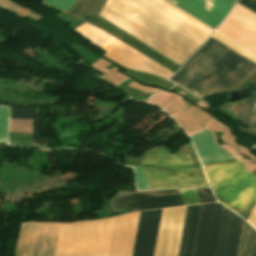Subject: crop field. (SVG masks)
Segmentation results:
<instances>
[{"instance_id": "3316defc", "label": "crop field", "mask_w": 256, "mask_h": 256, "mask_svg": "<svg viewBox=\"0 0 256 256\" xmlns=\"http://www.w3.org/2000/svg\"><path fill=\"white\" fill-rule=\"evenodd\" d=\"M139 214L115 218L108 256H132Z\"/></svg>"}, {"instance_id": "28ad6ade", "label": "crop field", "mask_w": 256, "mask_h": 256, "mask_svg": "<svg viewBox=\"0 0 256 256\" xmlns=\"http://www.w3.org/2000/svg\"><path fill=\"white\" fill-rule=\"evenodd\" d=\"M162 209L140 214L133 256H153Z\"/></svg>"}, {"instance_id": "5142ce71", "label": "crop field", "mask_w": 256, "mask_h": 256, "mask_svg": "<svg viewBox=\"0 0 256 256\" xmlns=\"http://www.w3.org/2000/svg\"><path fill=\"white\" fill-rule=\"evenodd\" d=\"M190 139L202 164L234 159L213 142V135L208 129L191 136Z\"/></svg>"}, {"instance_id": "a9b5d70f", "label": "crop field", "mask_w": 256, "mask_h": 256, "mask_svg": "<svg viewBox=\"0 0 256 256\" xmlns=\"http://www.w3.org/2000/svg\"><path fill=\"white\" fill-rule=\"evenodd\" d=\"M179 191L181 193V196L185 205L200 203L195 189H187V190H179Z\"/></svg>"}, {"instance_id": "bc2a9ffb", "label": "crop field", "mask_w": 256, "mask_h": 256, "mask_svg": "<svg viewBox=\"0 0 256 256\" xmlns=\"http://www.w3.org/2000/svg\"><path fill=\"white\" fill-rule=\"evenodd\" d=\"M238 256H256V231L243 223Z\"/></svg>"}, {"instance_id": "d1516ede", "label": "crop field", "mask_w": 256, "mask_h": 256, "mask_svg": "<svg viewBox=\"0 0 256 256\" xmlns=\"http://www.w3.org/2000/svg\"><path fill=\"white\" fill-rule=\"evenodd\" d=\"M243 220L224 209L216 256H237Z\"/></svg>"}, {"instance_id": "00972430", "label": "crop field", "mask_w": 256, "mask_h": 256, "mask_svg": "<svg viewBox=\"0 0 256 256\" xmlns=\"http://www.w3.org/2000/svg\"><path fill=\"white\" fill-rule=\"evenodd\" d=\"M76 0H44L43 4L53 6L61 11L68 13Z\"/></svg>"}, {"instance_id": "ac0d7876", "label": "crop field", "mask_w": 256, "mask_h": 256, "mask_svg": "<svg viewBox=\"0 0 256 256\" xmlns=\"http://www.w3.org/2000/svg\"><path fill=\"white\" fill-rule=\"evenodd\" d=\"M249 61L229 48L189 91L199 98L210 95ZM255 69L250 61L214 93L239 88Z\"/></svg>"}, {"instance_id": "22f410ed", "label": "crop field", "mask_w": 256, "mask_h": 256, "mask_svg": "<svg viewBox=\"0 0 256 256\" xmlns=\"http://www.w3.org/2000/svg\"><path fill=\"white\" fill-rule=\"evenodd\" d=\"M203 204L187 206L178 256H193Z\"/></svg>"}, {"instance_id": "214f88e0", "label": "crop field", "mask_w": 256, "mask_h": 256, "mask_svg": "<svg viewBox=\"0 0 256 256\" xmlns=\"http://www.w3.org/2000/svg\"><path fill=\"white\" fill-rule=\"evenodd\" d=\"M237 120L256 129V90L248 98Z\"/></svg>"}, {"instance_id": "730fd06b", "label": "crop field", "mask_w": 256, "mask_h": 256, "mask_svg": "<svg viewBox=\"0 0 256 256\" xmlns=\"http://www.w3.org/2000/svg\"><path fill=\"white\" fill-rule=\"evenodd\" d=\"M196 190L201 203L215 201L210 189H196Z\"/></svg>"}, {"instance_id": "f4fd0767", "label": "crop field", "mask_w": 256, "mask_h": 256, "mask_svg": "<svg viewBox=\"0 0 256 256\" xmlns=\"http://www.w3.org/2000/svg\"><path fill=\"white\" fill-rule=\"evenodd\" d=\"M142 168L151 189L208 187L201 166L186 169Z\"/></svg>"}, {"instance_id": "eef30255", "label": "crop field", "mask_w": 256, "mask_h": 256, "mask_svg": "<svg viewBox=\"0 0 256 256\" xmlns=\"http://www.w3.org/2000/svg\"><path fill=\"white\" fill-rule=\"evenodd\" d=\"M247 221L256 229V204Z\"/></svg>"}, {"instance_id": "d9b57169", "label": "crop field", "mask_w": 256, "mask_h": 256, "mask_svg": "<svg viewBox=\"0 0 256 256\" xmlns=\"http://www.w3.org/2000/svg\"><path fill=\"white\" fill-rule=\"evenodd\" d=\"M141 165L173 166V167L192 166L189 155H157V154H146Z\"/></svg>"}, {"instance_id": "dafd665d", "label": "crop field", "mask_w": 256, "mask_h": 256, "mask_svg": "<svg viewBox=\"0 0 256 256\" xmlns=\"http://www.w3.org/2000/svg\"><path fill=\"white\" fill-rule=\"evenodd\" d=\"M9 110L0 108V143L7 144V126Z\"/></svg>"}, {"instance_id": "e52e79f7", "label": "crop field", "mask_w": 256, "mask_h": 256, "mask_svg": "<svg viewBox=\"0 0 256 256\" xmlns=\"http://www.w3.org/2000/svg\"><path fill=\"white\" fill-rule=\"evenodd\" d=\"M102 49L107 51L104 56L126 68L151 73L167 79L173 74L113 37Z\"/></svg>"}, {"instance_id": "34b2d1b8", "label": "crop field", "mask_w": 256, "mask_h": 256, "mask_svg": "<svg viewBox=\"0 0 256 256\" xmlns=\"http://www.w3.org/2000/svg\"><path fill=\"white\" fill-rule=\"evenodd\" d=\"M60 223L22 224L16 256H54Z\"/></svg>"}, {"instance_id": "4a817a6b", "label": "crop field", "mask_w": 256, "mask_h": 256, "mask_svg": "<svg viewBox=\"0 0 256 256\" xmlns=\"http://www.w3.org/2000/svg\"><path fill=\"white\" fill-rule=\"evenodd\" d=\"M107 0H77L69 14L91 23Z\"/></svg>"}, {"instance_id": "cbeb9de0", "label": "crop field", "mask_w": 256, "mask_h": 256, "mask_svg": "<svg viewBox=\"0 0 256 256\" xmlns=\"http://www.w3.org/2000/svg\"><path fill=\"white\" fill-rule=\"evenodd\" d=\"M140 210L184 205L178 190L133 192Z\"/></svg>"}, {"instance_id": "ae1a2a85", "label": "crop field", "mask_w": 256, "mask_h": 256, "mask_svg": "<svg viewBox=\"0 0 256 256\" xmlns=\"http://www.w3.org/2000/svg\"><path fill=\"white\" fill-rule=\"evenodd\" d=\"M239 2L256 11V0H240Z\"/></svg>"}, {"instance_id": "412701ff", "label": "crop field", "mask_w": 256, "mask_h": 256, "mask_svg": "<svg viewBox=\"0 0 256 256\" xmlns=\"http://www.w3.org/2000/svg\"><path fill=\"white\" fill-rule=\"evenodd\" d=\"M228 48L210 37L170 80L189 90Z\"/></svg>"}, {"instance_id": "4177f3b9", "label": "crop field", "mask_w": 256, "mask_h": 256, "mask_svg": "<svg viewBox=\"0 0 256 256\" xmlns=\"http://www.w3.org/2000/svg\"><path fill=\"white\" fill-rule=\"evenodd\" d=\"M135 176L138 190L150 189L141 167L135 166Z\"/></svg>"}, {"instance_id": "92a150f3", "label": "crop field", "mask_w": 256, "mask_h": 256, "mask_svg": "<svg viewBox=\"0 0 256 256\" xmlns=\"http://www.w3.org/2000/svg\"><path fill=\"white\" fill-rule=\"evenodd\" d=\"M110 204L114 212L126 209L138 210L132 193H120L116 198H112Z\"/></svg>"}, {"instance_id": "5a996713", "label": "crop field", "mask_w": 256, "mask_h": 256, "mask_svg": "<svg viewBox=\"0 0 256 256\" xmlns=\"http://www.w3.org/2000/svg\"><path fill=\"white\" fill-rule=\"evenodd\" d=\"M217 29L237 0H168Z\"/></svg>"}, {"instance_id": "733c2abd", "label": "crop field", "mask_w": 256, "mask_h": 256, "mask_svg": "<svg viewBox=\"0 0 256 256\" xmlns=\"http://www.w3.org/2000/svg\"><path fill=\"white\" fill-rule=\"evenodd\" d=\"M10 109V119H32L33 145L46 147V139H40L38 109L15 107H10Z\"/></svg>"}, {"instance_id": "8a807250", "label": "crop field", "mask_w": 256, "mask_h": 256, "mask_svg": "<svg viewBox=\"0 0 256 256\" xmlns=\"http://www.w3.org/2000/svg\"><path fill=\"white\" fill-rule=\"evenodd\" d=\"M204 169L217 200L236 213L256 201V177L237 160L206 165Z\"/></svg>"}, {"instance_id": "dd49c442", "label": "crop field", "mask_w": 256, "mask_h": 256, "mask_svg": "<svg viewBox=\"0 0 256 256\" xmlns=\"http://www.w3.org/2000/svg\"><path fill=\"white\" fill-rule=\"evenodd\" d=\"M217 31L256 54V14L242 5L237 3Z\"/></svg>"}, {"instance_id": "d8731c3e", "label": "crop field", "mask_w": 256, "mask_h": 256, "mask_svg": "<svg viewBox=\"0 0 256 256\" xmlns=\"http://www.w3.org/2000/svg\"><path fill=\"white\" fill-rule=\"evenodd\" d=\"M224 206L204 204L194 256H215Z\"/></svg>"}]
</instances>
